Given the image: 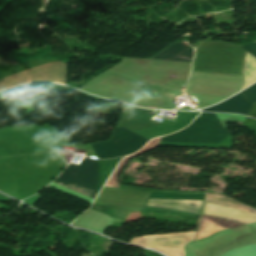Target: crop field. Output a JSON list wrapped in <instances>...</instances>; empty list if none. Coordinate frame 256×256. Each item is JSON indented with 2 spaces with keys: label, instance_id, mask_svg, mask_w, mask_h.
<instances>
[{
  "label": "crop field",
  "instance_id": "crop-field-1",
  "mask_svg": "<svg viewBox=\"0 0 256 256\" xmlns=\"http://www.w3.org/2000/svg\"><path fill=\"white\" fill-rule=\"evenodd\" d=\"M227 134L215 114L202 113L187 128L162 137L160 142L219 143Z\"/></svg>",
  "mask_w": 256,
  "mask_h": 256
},
{
  "label": "crop field",
  "instance_id": "crop-field-2",
  "mask_svg": "<svg viewBox=\"0 0 256 256\" xmlns=\"http://www.w3.org/2000/svg\"><path fill=\"white\" fill-rule=\"evenodd\" d=\"M98 163L85 158L80 165L70 164L54 183L92 200L97 195Z\"/></svg>",
  "mask_w": 256,
  "mask_h": 256
},
{
  "label": "crop field",
  "instance_id": "crop-field-3",
  "mask_svg": "<svg viewBox=\"0 0 256 256\" xmlns=\"http://www.w3.org/2000/svg\"><path fill=\"white\" fill-rule=\"evenodd\" d=\"M148 140L126 130L115 128L111 140L91 144L98 159L125 156L140 149Z\"/></svg>",
  "mask_w": 256,
  "mask_h": 256
},
{
  "label": "crop field",
  "instance_id": "crop-field-4",
  "mask_svg": "<svg viewBox=\"0 0 256 256\" xmlns=\"http://www.w3.org/2000/svg\"><path fill=\"white\" fill-rule=\"evenodd\" d=\"M252 105L253 103L247 101L242 92H240L237 95L225 100L224 102L202 111L241 113L247 115Z\"/></svg>",
  "mask_w": 256,
  "mask_h": 256
},
{
  "label": "crop field",
  "instance_id": "crop-field-5",
  "mask_svg": "<svg viewBox=\"0 0 256 256\" xmlns=\"http://www.w3.org/2000/svg\"><path fill=\"white\" fill-rule=\"evenodd\" d=\"M193 54L194 49H192L190 46L176 42L152 59L191 63Z\"/></svg>",
  "mask_w": 256,
  "mask_h": 256
},
{
  "label": "crop field",
  "instance_id": "crop-field-6",
  "mask_svg": "<svg viewBox=\"0 0 256 256\" xmlns=\"http://www.w3.org/2000/svg\"><path fill=\"white\" fill-rule=\"evenodd\" d=\"M204 206L149 198L145 208L174 209L200 215Z\"/></svg>",
  "mask_w": 256,
  "mask_h": 256
},
{
  "label": "crop field",
  "instance_id": "crop-field-7",
  "mask_svg": "<svg viewBox=\"0 0 256 256\" xmlns=\"http://www.w3.org/2000/svg\"><path fill=\"white\" fill-rule=\"evenodd\" d=\"M247 100L256 103V84L242 91Z\"/></svg>",
  "mask_w": 256,
  "mask_h": 256
}]
</instances>
